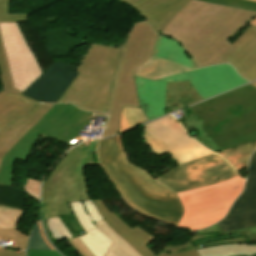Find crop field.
Instances as JSON below:
<instances>
[{
  "label": "crop field",
  "instance_id": "1",
  "mask_svg": "<svg viewBox=\"0 0 256 256\" xmlns=\"http://www.w3.org/2000/svg\"><path fill=\"white\" fill-rule=\"evenodd\" d=\"M255 17L256 12L191 0L161 34L179 42L200 68L227 63L222 58L234 49L227 40Z\"/></svg>",
  "mask_w": 256,
  "mask_h": 256
},
{
  "label": "crop field",
  "instance_id": "2",
  "mask_svg": "<svg viewBox=\"0 0 256 256\" xmlns=\"http://www.w3.org/2000/svg\"><path fill=\"white\" fill-rule=\"evenodd\" d=\"M97 153L101 168L135 212L160 222L178 224L184 209L176 193L130 162L122 135L99 140Z\"/></svg>",
  "mask_w": 256,
  "mask_h": 256
},
{
  "label": "crop field",
  "instance_id": "3",
  "mask_svg": "<svg viewBox=\"0 0 256 256\" xmlns=\"http://www.w3.org/2000/svg\"><path fill=\"white\" fill-rule=\"evenodd\" d=\"M192 114L179 119L196 139L217 152L256 141V88L248 85L187 108Z\"/></svg>",
  "mask_w": 256,
  "mask_h": 256
},
{
  "label": "crop field",
  "instance_id": "4",
  "mask_svg": "<svg viewBox=\"0 0 256 256\" xmlns=\"http://www.w3.org/2000/svg\"><path fill=\"white\" fill-rule=\"evenodd\" d=\"M122 50L91 44L78 75L57 103L71 102L87 111L107 113Z\"/></svg>",
  "mask_w": 256,
  "mask_h": 256
},
{
  "label": "crop field",
  "instance_id": "5",
  "mask_svg": "<svg viewBox=\"0 0 256 256\" xmlns=\"http://www.w3.org/2000/svg\"><path fill=\"white\" fill-rule=\"evenodd\" d=\"M10 0H0V73L3 88L20 94L42 71L17 24L26 14L8 15Z\"/></svg>",
  "mask_w": 256,
  "mask_h": 256
},
{
  "label": "crop field",
  "instance_id": "6",
  "mask_svg": "<svg viewBox=\"0 0 256 256\" xmlns=\"http://www.w3.org/2000/svg\"><path fill=\"white\" fill-rule=\"evenodd\" d=\"M183 80H190L204 99L248 83L232 66L226 64L188 71L157 81L136 77L140 105L149 120L165 114L166 83Z\"/></svg>",
  "mask_w": 256,
  "mask_h": 256
},
{
  "label": "crop field",
  "instance_id": "7",
  "mask_svg": "<svg viewBox=\"0 0 256 256\" xmlns=\"http://www.w3.org/2000/svg\"><path fill=\"white\" fill-rule=\"evenodd\" d=\"M158 34L147 21L136 23L132 28L126 41L112 94L109 122L101 137L111 136L118 132L123 106L140 107L134 74L151 57Z\"/></svg>",
  "mask_w": 256,
  "mask_h": 256
},
{
  "label": "crop field",
  "instance_id": "8",
  "mask_svg": "<svg viewBox=\"0 0 256 256\" xmlns=\"http://www.w3.org/2000/svg\"><path fill=\"white\" fill-rule=\"evenodd\" d=\"M91 140L75 147L55 165L44 180L42 218L73 214L70 202L91 200L85 169L80 166ZM68 193V195H66Z\"/></svg>",
  "mask_w": 256,
  "mask_h": 256
},
{
  "label": "crop field",
  "instance_id": "9",
  "mask_svg": "<svg viewBox=\"0 0 256 256\" xmlns=\"http://www.w3.org/2000/svg\"><path fill=\"white\" fill-rule=\"evenodd\" d=\"M245 180L239 175L222 183L178 193L185 212L177 228H206L223 218Z\"/></svg>",
  "mask_w": 256,
  "mask_h": 256
},
{
  "label": "crop field",
  "instance_id": "10",
  "mask_svg": "<svg viewBox=\"0 0 256 256\" xmlns=\"http://www.w3.org/2000/svg\"><path fill=\"white\" fill-rule=\"evenodd\" d=\"M170 115L145 125L143 138L159 156L169 153L177 164L202 157L212 152L193 140Z\"/></svg>",
  "mask_w": 256,
  "mask_h": 256
},
{
  "label": "crop field",
  "instance_id": "11",
  "mask_svg": "<svg viewBox=\"0 0 256 256\" xmlns=\"http://www.w3.org/2000/svg\"><path fill=\"white\" fill-rule=\"evenodd\" d=\"M238 175L216 154L189 161L156 178L174 192L203 187Z\"/></svg>",
  "mask_w": 256,
  "mask_h": 256
},
{
  "label": "crop field",
  "instance_id": "12",
  "mask_svg": "<svg viewBox=\"0 0 256 256\" xmlns=\"http://www.w3.org/2000/svg\"><path fill=\"white\" fill-rule=\"evenodd\" d=\"M76 107L72 104H55L49 112L25 134L4 156L0 168V184L10 185L15 159L26 161L41 135L48 137Z\"/></svg>",
  "mask_w": 256,
  "mask_h": 256
},
{
  "label": "crop field",
  "instance_id": "13",
  "mask_svg": "<svg viewBox=\"0 0 256 256\" xmlns=\"http://www.w3.org/2000/svg\"><path fill=\"white\" fill-rule=\"evenodd\" d=\"M248 172L245 190L234 202L228 215L216 223L224 232L256 226V152Z\"/></svg>",
  "mask_w": 256,
  "mask_h": 256
},
{
  "label": "crop field",
  "instance_id": "14",
  "mask_svg": "<svg viewBox=\"0 0 256 256\" xmlns=\"http://www.w3.org/2000/svg\"><path fill=\"white\" fill-rule=\"evenodd\" d=\"M76 75L75 70L58 60L22 94L40 102H57Z\"/></svg>",
  "mask_w": 256,
  "mask_h": 256
},
{
  "label": "crop field",
  "instance_id": "15",
  "mask_svg": "<svg viewBox=\"0 0 256 256\" xmlns=\"http://www.w3.org/2000/svg\"><path fill=\"white\" fill-rule=\"evenodd\" d=\"M71 204L75 217L86 233L80 236V239L95 256H104L113 241L94 224L103 220V217L96 209L93 201H81Z\"/></svg>",
  "mask_w": 256,
  "mask_h": 256
},
{
  "label": "crop field",
  "instance_id": "16",
  "mask_svg": "<svg viewBox=\"0 0 256 256\" xmlns=\"http://www.w3.org/2000/svg\"><path fill=\"white\" fill-rule=\"evenodd\" d=\"M139 11L160 32L175 13L190 0H122ZM155 4V5H153Z\"/></svg>",
  "mask_w": 256,
  "mask_h": 256
},
{
  "label": "crop field",
  "instance_id": "17",
  "mask_svg": "<svg viewBox=\"0 0 256 256\" xmlns=\"http://www.w3.org/2000/svg\"><path fill=\"white\" fill-rule=\"evenodd\" d=\"M54 104H39L0 131V164L2 157L27 133Z\"/></svg>",
  "mask_w": 256,
  "mask_h": 256
},
{
  "label": "crop field",
  "instance_id": "18",
  "mask_svg": "<svg viewBox=\"0 0 256 256\" xmlns=\"http://www.w3.org/2000/svg\"><path fill=\"white\" fill-rule=\"evenodd\" d=\"M97 209L104 217L105 221L124 239L126 240L140 255L154 256L146 247L153 236L147 234L142 229L136 227L132 230L127 227L116 215H114L102 200L94 201Z\"/></svg>",
  "mask_w": 256,
  "mask_h": 256
},
{
  "label": "crop field",
  "instance_id": "19",
  "mask_svg": "<svg viewBox=\"0 0 256 256\" xmlns=\"http://www.w3.org/2000/svg\"><path fill=\"white\" fill-rule=\"evenodd\" d=\"M233 46L235 49L223 59L233 65L242 76L256 64V27L246 29Z\"/></svg>",
  "mask_w": 256,
  "mask_h": 256
},
{
  "label": "crop field",
  "instance_id": "20",
  "mask_svg": "<svg viewBox=\"0 0 256 256\" xmlns=\"http://www.w3.org/2000/svg\"><path fill=\"white\" fill-rule=\"evenodd\" d=\"M39 102L18 94L0 92V130L22 116Z\"/></svg>",
  "mask_w": 256,
  "mask_h": 256
},
{
  "label": "crop field",
  "instance_id": "21",
  "mask_svg": "<svg viewBox=\"0 0 256 256\" xmlns=\"http://www.w3.org/2000/svg\"><path fill=\"white\" fill-rule=\"evenodd\" d=\"M95 115L105 116V114L84 112L76 108L49 138L71 145L81 139V136H78L80 131L84 130L85 125H88Z\"/></svg>",
  "mask_w": 256,
  "mask_h": 256
},
{
  "label": "crop field",
  "instance_id": "22",
  "mask_svg": "<svg viewBox=\"0 0 256 256\" xmlns=\"http://www.w3.org/2000/svg\"><path fill=\"white\" fill-rule=\"evenodd\" d=\"M23 213V210L0 206V240L12 241L10 248H26L29 236L24 235L15 229Z\"/></svg>",
  "mask_w": 256,
  "mask_h": 256
},
{
  "label": "crop field",
  "instance_id": "23",
  "mask_svg": "<svg viewBox=\"0 0 256 256\" xmlns=\"http://www.w3.org/2000/svg\"><path fill=\"white\" fill-rule=\"evenodd\" d=\"M201 100L204 99L194 90L190 81L167 84L166 109L175 105L181 109Z\"/></svg>",
  "mask_w": 256,
  "mask_h": 256
},
{
  "label": "crop field",
  "instance_id": "24",
  "mask_svg": "<svg viewBox=\"0 0 256 256\" xmlns=\"http://www.w3.org/2000/svg\"><path fill=\"white\" fill-rule=\"evenodd\" d=\"M152 56L163 60L179 63L193 69L196 68L192 60L188 57V55L179 43H176L174 40L167 38L161 34L158 36Z\"/></svg>",
  "mask_w": 256,
  "mask_h": 256
},
{
  "label": "crop field",
  "instance_id": "25",
  "mask_svg": "<svg viewBox=\"0 0 256 256\" xmlns=\"http://www.w3.org/2000/svg\"><path fill=\"white\" fill-rule=\"evenodd\" d=\"M191 68L151 57L136 72V76L157 80L182 73Z\"/></svg>",
  "mask_w": 256,
  "mask_h": 256
},
{
  "label": "crop field",
  "instance_id": "26",
  "mask_svg": "<svg viewBox=\"0 0 256 256\" xmlns=\"http://www.w3.org/2000/svg\"><path fill=\"white\" fill-rule=\"evenodd\" d=\"M200 256H256V244L243 243L198 249Z\"/></svg>",
  "mask_w": 256,
  "mask_h": 256
},
{
  "label": "crop field",
  "instance_id": "27",
  "mask_svg": "<svg viewBox=\"0 0 256 256\" xmlns=\"http://www.w3.org/2000/svg\"><path fill=\"white\" fill-rule=\"evenodd\" d=\"M96 225L114 241L106 256H140L104 220L96 223Z\"/></svg>",
  "mask_w": 256,
  "mask_h": 256
},
{
  "label": "crop field",
  "instance_id": "28",
  "mask_svg": "<svg viewBox=\"0 0 256 256\" xmlns=\"http://www.w3.org/2000/svg\"><path fill=\"white\" fill-rule=\"evenodd\" d=\"M214 235H219V233H208V234L195 235L190 240H188L186 243H184L182 245L165 246L164 249L158 255L179 253V252L198 249V248H202V247H206V246L248 242L247 237H237V238L219 240V241H215L212 243L201 244L197 247H195L194 245H192L190 243V241L201 239V238H206V237H210V236H214ZM158 255H156V256H158Z\"/></svg>",
  "mask_w": 256,
  "mask_h": 256
},
{
  "label": "crop field",
  "instance_id": "29",
  "mask_svg": "<svg viewBox=\"0 0 256 256\" xmlns=\"http://www.w3.org/2000/svg\"><path fill=\"white\" fill-rule=\"evenodd\" d=\"M255 149L256 142L221 151L218 154L225 158L236 170H240L248 166L251 154Z\"/></svg>",
  "mask_w": 256,
  "mask_h": 256
},
{
  "label": "crop field",
  "instance_id": "30",
  "mask_svg": "<svg viewBox=\"0 0 256 256\" xmlns=\"http://www.w3.org/2000/svg\"><path fill=\"white\" fill-rule=\"evenodd\" d=\"M146 121H148V118L141 108L124 107L118 133L133 128Z\"/></svg>",
  "mask_w": 256,
  "mask_h": 256
},
{
  "label": "crop field",
  "instance_id": "31",
  "mask_svg": "<svg viewBox=\"0 0 256 256\" xmlns=\"http://www.w3.org/2000/svg\"><path fill=\"white\" fill-rule=\"evenodd\" d=\"M50 240L59 241L73 238V235L61 221L60 217L43 220Z\"/></svg>",
  "mask_w": 256,
  "mask_h": 256
},
{
  "label": "crop field",
  "instance_id": "32",
  "mask_svg": "<svg viewBox=\"0 0 256 256\" xmlns=\"http://www.w3.org/2000/svg\"><path fill=\"white\" fill-rule=\"evenodd\" d=\"M41 223H36L31 237L29 239V245L27 249H36V250H54L50 244L47 242L44 235Z\"/></svg>",
  "mask_w": 256,
  "mask_h": 256
},
{
  "label": "crop field",
  "instance_id": "33",
  "mask_svg": "<svg viewBox=\"0 0 256 256\" xmlns=\"http://www.w3.org/2000/svg\"><path fill=\"white\" fill-rule=\"evenodd\" d=\"M208 232H220V235L239 234V236H248L249 242L256 243V227L245 228L241 230L224 233L216 224H214L213 226L207 229L197 231L198 234Z\"/></svg>",
  "mask_w": 256,
  "mask_h": 256
},
{
  "label": "crop field",
  "instance_id": "34",
  "mask_svg": "<svg viewBox=\"0 0 256 256\" xmlns=\"http://www.w3.org/2000/svg\"><path fill=\"white\" fill-rule=\"evenodd\" d=\"M205 2L256 11V2L249 0H201Z\"/></svg>",
  "mask_w": 256,
  "mask_h": 256
},
{
  "label": "crop field",
  "instance_id": "35",
  "mask_svg": "<svg viewBox=\"0 0 256 256\" xmlns=\"http://www.w3.org/2000/svg\"><path fill=\"white\" fill-rule=\"evenodd\" d=\"M97 142H98V140L91 141L89 148L87 150V153H86L81 165H89V166L99 165L98 159H97V154H96Z\"/></svg>",
  "mask_w": 256,
  "mask_h": 256
},
{
  "label": "crop field",
  "instance_id": "36",
  "mask_svg": "<svg viewBox=\"0 0 256 256\" xmlns=\"http://www.w3.org/2000/svg\"><path fill=\"white\" fill-rule=\"evenodd\" d=\"M24 189L35 199L39 200L40 181L28 178Z\"/></svg>",
  "mask_w": 256,
  "mask_h": 256
},
{
  "label": "crop field",
  "instance_id": "37",
  "mask_svg": "<svg viewBox=\"0 0 256 256\" xmlns=\"http://www.w3.org/2000/svg\"><path fill=\"white\" fill-rule=\"evenodd\" d=\"M69 242L81 256H93L78 238L71 239Z\"/></svg>",
  "mask_w": 256,
  "mask_h": 256
},
{
  "label": "crop field",
  "instance_id": "38",
  "mask_svg": "<svg viewBox=\"0 0 256 256\" xmlns=\"http://www.w3.org/2000/svg\"><path fill=\"white\" fill-rule=\"evenodd\" d=\"M28 256H60L57 251H35L27 250Z\"/></svg>",
  "mask_w": 256,
  "mask_h": 256
},
{
  "label": "crop field",
  "instance_id": "39",
  "mask_svg": "<svg viewBox=\"0 0 256 256\" xmlns=\"http://www.w3.org/2000/svg\"><path fill=\"white\" fill-rule=\"evenodd\" d=\"M0 256H25L24 251H16L7 248H0Z\"/></svg>",
  "mask_w": 256,
  "mask_h": 256
},
{
  "label": "crop field",
  "instance_id": "40",
  "mask_svg": "<svg viewBox=\"0 0 256 256\" xmlns=\"http://www.w3.org/2000/svg\"><path fill=\"white\" fill-rule=\"evenodd\" d=\"M242 77L251 81L256 79V65L247 71Z\"/></svg>",
  "mask_w": 256,
  "mask_h": 256
},
{
  "label": "crop field",
  "instance_id": "41",
  "mask_svg": "<svg viewBox=\"0 0 256 256\" xmlns=\"http://www.w3.org/2000/svg\"><path fill=\"white\" fill-rule=\"evenodd\" d=\"M165 256H199V254L196 252V250H193V251H188L184 253L165 255Z\"/></svg>",
  "mask_w": 256,
  "mask_h": 256
},
{
  "label": "crop field",
  "instance_id": "42",
  "mask_svg": "<svg viewBox=\"0 0 256 256\" xmlns=\"http://www.w3.org/2000/svg\"><path fill=\"white\" fill-rule=\"evenodd\" d=\"M253 1H256V0H253ZM249 24L256 26V18L254 20H252Z\"/></svg>",
  "mask_w": 256,
  "mask_h": 256
},
{
  "label": "crop field",
  "instance_id": "43",
  "mask_svg": "<svg viewBox=\"0 0 256 256\" xmlns=\"http://www.w3.org/2000/svg\"><path fill=\"white\" fill-rule=\"evenodd\" d=\"M251 85L255 86L256 87V82L252 83Z\"/></svg>",
  "mask_w": 256,
  "mask_h": 256
}]
</instances>
